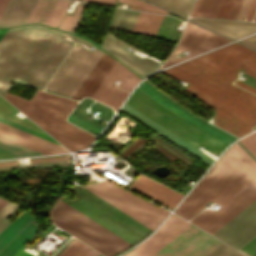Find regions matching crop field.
Masks as SVG:
<instances>
[{"label":"crop field","mask_w":256,"mask_h":256,"mask_svg":"<svg viewBox=\"0 0 256 256\" xmlns=\"http://www.w3.org/2000/svg\"><path fill=\"white\" fill-rule=\"evenodd\" d=\"M36 0H9L1 18L0 27L25 23Z\"/></svg>","instance_id":"dafd665d"},{"label":"crop field","mask_w":256,"mask_h":256,"mask_svg":"<svg viewBox=\"0 0 256 256\" xmlns=\"http://www.w3.org/2000/svg\"><path fill=\"white\" fill-rule=\"evenodd\" d=\"M125 103L166 127L194 146H204L207 150L217 156L226 146L223 142L167 110L137 88Z\"/></svg>","instance_id":"e52e79f7"},{"label":"crop field","mask_w":256,"mask_h":256,"mask_svg":"<svg viewBox=\"0 0 256 256\" xmlns=\"http://www.w3.org/2000/svg\"><path fill=\"white\" fill-rule=\"evenodd\" d=\"M116 60L104 53L89 76L78 89L73 99L79 100L84 96H90L94 93L98 85L101 83L105 75L108 73Z\"/></svg>","instance_id":"214f88e0"},{"label":"crop field","mask_w":256,"mask_h":256,"mask_svg":"<svg viewBox=\"0 0 256 256\" xmlns=\"http://www.w3.org/2000/svg\"><path fill=\"white\" fill-rule=\"evenodd\" d=\"M13 156H10L8 154H5L3 152H0V159H6V158H12Z\"/></svg>","instance_id":"1f2cbd36"},{"label":"crop field","mask_w":256,"mask_h":256,"mask_svg":"<svg viewBox=\"0 0 256 256\" xmlns=\"http://www.w3.org/2000/svg\"><path fill=\"white\" fill-rule=\"evenodd\" d=\"M36 232L33 215L22 211L0 233V256H13Z\"/></svg>","instance_id":"cbeb9de0"},{"label":"crop field","mask_w":256,"mask_h":256,"mask_svg":"<svg viewBox=\"0 0 256 256\" xmlns=\"http://www.w3.org/2000/svg\"><path fill=\"white\" fill-rule=\"evenodd\" d=\"M50 219L105 256H115L133 246L118 238L80 212L58 199L50 210Z\"/></svg>","instance_id":"dd49c442"},{"label":"crop field","mask_w":256,"mask_h":256,"mask_svg":"<svg viewBox=\"0 0 256 256\" xmlns=\"http://www.w3.org/2000/svg\"><path fill=\"white\" fill-rule=\"evenodd\" d=\"M127 45L128 44L107 33L101 47L106 49L143 78L158 68V63L147 58L139 59L138 57L124 50L123 48Z\"/></svg>","instance_id":"733c2abd"},{"label":"crop field","mask_w":256,"mask_h":256,"mask_svg":"<svg viewBox=\"0 0 256 256\" xmlns=\"http://www.w3.org/2000/svg\"><path fill=\"white\" fill-rule=\"evenodd\" d=\"M227 42L230 41L188 22L180 42L170 56L177 55L183 50H188L190 54L182 58L168 59L160 69Z\"/></svg>","instance_id":"22f410ed"},{"label":"crop field","mask_w":256,"mask_h":256,"mask_svg":"<svg viewBox=\"0 0 256 256\" xmlns=\"http://www.w3.org/2000/svg\"><path fill=\"white\" fill-rule=\"evenodd\" d=\"M221 243L191 225L153 256H205Z\"/></svg>","instance_id":"28ad6ade"},{"label":"crop field","mask_w":256,"mask_h":256,"mask_svg":"<svg viewBox=\"0 0 256 256\" xmlns=\"http://www.w3.org/2000/svg\"><path fill=\"white\" fill-rule=\"evenodd\" d=\"M18 208V206H15L10 203H6L1 209H0V232L9 224L6 220L12 215V213Z\"/></svg>","instance_id":"1d83c4d3"},{"label":"crop field","mask_w":256,"mask_h":256,"mask_svg":"<svg viewBox=\"0 0 256 256\" xmlns=\"http://www.w3.org/2000/svg\"><path fill=\"white\" fill-rule=\"evenodd\" d=\"M0 151H3L15 157L42 154L2 138H0Z\"/></svg>","instance_id":"750c4746"},{"label":"crop field","mask_w":256,"mask_h":256,"mask_svg":"<svg viewBox=\"0 0 256 256\" xmlns=\"http://www.w3.org/2000/svg\"><path fill=\"white\" fill-rule=\"evenodd\" d=\"M190 225L187 221L171 215L151 237L124 256H152Z\"/></svg>","instance_id":"5142ce71"},{"label":"crop field","mask_w":256,"mask_h":256,"mask_svg":"<svg viewBox=\"0 0 256 256\" xmlns=\"http://www.w3.org/2000/svg\"><path fill=\"white\" fill-rule=\"evenodd\" d=\"M68 189L72 191L77 198L70 201L61 196L59 199L131 244L134 245L138 243L152 231L85 188L74 186Z\"/></svg>","instance_id":"f4fd0767"},{"label":"crop field","mask_w":256,"mask_h":256,"mask_svg":"<svg viewBox=\"0 0 256 256\" xmlns=\"http://www.w3.org/2000/svg\"><path fill=\"white\" fill-rule=\"evenodd\" d=\"M240 143L256 158V132L242 138Z\"/></svg>","instance_id":"5866460e"},{"label":"crop field","mask_w":256,"mask_h":256,"mask_svg":"<svg viewBox=\"0 0 256 256\" xmlns=\"http://www.w3.org/2000/svg\"><path fill=\"white\" fill-rule=\"evenodd\" d=\"M16 112H18L17 110H15L11 105H9L6 101H4L1 97H0V117H3L5 119H8L10 121H13L15 123H18L20 125L26 126L28 128H31L33 130H36L38 132H41L43 134H45L43 131H41L39 128H37L34 124H32L28 119H20L16 116H14L13 114H15Z\"/></svg>","instance_id":"d3111659"},{"label":"crop field","mask_w":256,"mask_h":256,"mask_svg":"<svg viewBox=\"0 0 256 256\" xmlns=\"http://www.w3.org/2000/svg\"><path fill=\"white\" fill-rule=\"evenodd\" d=\"M234 0H224L217 18L227 19Z\"/></svg>","instance_id":"e1f06a70"},{"label":"crop field","mask_w":256,"mask_h":256,"mask_svg":"<svg viewBox=\"0 0 256 256\" xmlns=\"http://www.w3.org/2000/svg\"><path fill=\"white\" fill-rule=\"evenodd\" d=\"M223 0H196L190 16L216 18Z\"/></svg>","instance_id":"730fd06b"},{"label":"crop field","mask_w":256,"mask_h":256,"mask_svg":"<svg viewBox=\"0 0 256 256\" xmlns=\"http://www.w3.org/2000/svg\"><path fill=\"white\" fill-rule=\"evenodd\" d=\"M7 201L0 198V208L6 203Z\"/></svg>","instance_id":"dbb93151"},{"label":"crop field","mask_w":256,"mask_h":256,"mask_svg":"<svg viewBox=\"0 0 256 256\" xmlns=\"http://www.w3.org/2000/svg\"><path fill=\"white\" fill-rule=\"evenodd\" d=\"M84 1L113 5V3H114L115 0H84Z\"/></svg>","instance_id":"425ffa30"},{"label":"crop field","mask_w":256,"mask_h":256,"mask_svg":"<svg viewBox=\"0 0 256 256\" xmlns=\"http://www.w3.org/2000/svg\"><path fill=\"white\" fill-rule=\"evenodd\" d=\"M45 0H38L27 23H34ZM71 4L70 0H53ZM46 0L35 23L45 24L73 33L88 4L80 2L72 14L65 13L68 4Z\"/></svg>","instance_id":"3316defc"},{"label":"crop field","mask_w":256,"mask_h":256,"mask_svg":"<svg viewBox=\"0 0 256 256\" xmlns=\"http://www.w3.org/2000/svg\"><path fill=\"white\" fill-rule=\"evenodd\" d=\"M116 79L122 80L118 85L119 87L129 91H131L136 83L141 80L134 73L116 61L95 93L92 95V98L113 107L115 110L129 93L116 88L115 85L112 84Z\"/></svg>","instance_id":"d1516ede"},{"label":"crop field","mask_w":256,"mask_h":256,"mask_svg":"<svg viewBox=\"0 0 256 256\" xmlns=\"http://www.w3.org/2000/svg\"><path fill=\"white\" fill-rule=\"evenodd\" d=\"M139 13L117 8L110 27L131 32Z\"/></svg>","instance_id":"eef30255"},{"label":"crop field","mask_w":256,"mask_h":256,"mask_svg":"<svg viewBox=\"0 0 256 256\" xmlns=\"http://www.w3.org/2000/svg\"><path fill=\"white\" fill-rule=\"evenodd\" d=\"M61 34L78 40L38 25L9 29L0 40V94L5 96L12 81L42 90L73 44Z\"/></svg>","instance_id":"34b2d1b8"},{"label":"crop field","mask_w":256,"mask_h":256,"mask_svg":"<svg viewBox=\"0 0 256 256\" xmlns=\"http://www.w3.org/2000/svg\"><path fill=\"white\" fill-rule=\"evenodd\" d=\"M128 188L171 210L184 196L142 174L139 175Z\"/></svg>","instance_id":"d9b57169"},{"label":"crop field","mask_w":256,"mask_h":256,"mask_svg":"<svg viewBox=\"0 0 256 256\" xmlns=\"http://www.w3.org/2000/svg\"><path fill=\"white\" fill-rule=\"evenodd\" d=\"M207 256H243L240 253L234 251L230 247L226 246L225 244L219 245L216 249H214L211 253Z\"/></svg>","instance_id":"d32e631a"},{"label":"crop field","mask_w":256,"mask_h":256,"mask_svg":"<svg viewBox=\"0 0 256 256\" xmlns=\"http://www.w3.org/2000/svg\"><path fill=\"white\" fill-rule=\"evenodd\" d=\"M0 136L3 137V138L9 139V140H11V141H14V142H16V143H19V144H21V145H24V146H26V147H29V148H31V149L37 150V151H39V152H42V153H44V154H51L50 152H47V151L42 150V149H39V148H37V147H34V146H32V145H29V144L24 143V142H22V141H19V140H17V139L11 138V137L6 136V135H4V134H1V133H0Z\"/></svg>","instance_id":"c21b1889"},{"label":"crop field","mask_w":256,"mask_h":256,"mask_svg":"<svg viewBox=\"0 0 256 256\" xmlns=\"http://www.w3.org/2000/svg\"><path fill=\"white\" fill-rule=\"evenodd\" d=\"M7 2H8V0H0V16H1Z\"/></svg>","instance_id":"73cf0c24"},{"label":"crop field","mask_w":256,"mask_h":256,"mask_svg":"<svg viewBox=\"0 0 256 256\" xmlns=\"http://www.w3.org/2000/svg\"><path fill=\"white\" fill-rule=\"evenodd\" d=\"M75 241L76 239L59 256H61Z\"/></svg>","instance_id":"0fb4a251"},{"label":"crop field","mask_w":256,"mask_h":256,"mask_svg":"<svg viewBox=\"0 0 256 256\" xmlns=\"http://www.w3.org/2000/svg\"><path fill=\"white\" fill-rule=\"evenodd\" d=\"M256 10V0H253L245 20H251ZM256 21V16L254 18Z\"/></svg>","instance_id":"b54c1fbb"},{"label":"crop field","mask_w":256,"mask_h":256,"mask_svg":"<svg viewBox=\"0 0 256 256\" xmlns=\"http://www.w3.org/2000/svg\"><path fill=\"white\" fill-rule=\"evenodd\" d=\"M242 42H244V43H246V44H248V45H250V46H252V47H254V48H256V34L255 35H253V36H250V37H248V38H245V39H243V40H241ZM241 42V43H242ZM243 43V44H244ZM245 44V45H246Z\"/></svg>","instance_id":"5d738f31"},{"label":"crop field","mask_w":256,"mask_h":256,"mask_svg":"<svg viewBox=\"0 0 256 256\" xmlns=\"http://www.w3.org/2000/svg\"><path fill=\"white\" fill-rule=\"evenodd\" d=\"M80 242L77 240L62 256H79L88 247Z\"/></svg>","instance_id":"028f5c9d"},{"label":"crop field","mask_w":256,"mask_h":256,"mask_svg":"<svg viewBox=\"0 0 256 256\" xmlns=\"http://www.w3.org/2000/svg\"><path fill=\"white\" fill-rule=\"evenodd\" d=\"M241 2H242V0H235V3L233 5V8L231 10V13H230V16H229L228 19H235L236 18V15L238 13Z\"/></svg>","instance_id":"03da06ac"},{"label":"crop field","mask_w":256,"mask_h":256,"mask_svg":"<svg viewBox=\"0 0 256 256\" xmlns=\"http://www.w3.org/2000/svg\"><path fill=\"white\" fill-rule=\"evenodd\" d=\"M240 68L256 77V52L232 43L162 72L189 82L185 91L216 109L214 124L241 137L256 125V95L228 83ZM235 84L256 94L238 80Z\"/></svg>","instance_id":"ac0d7876"},{"label":"crop field","mask_w":256,"mask_h":256,"mask_svg":"<svg viewBox=\"0 0 256 256\" xmlns=\"http://www.w3.org/2000/svg\"><path fill=\"white\" fill-rule=\"evenodd\" d=\"M98 256H102V255L99 254Z\"/></svg>","instance_id":"1d79db26"},{"label":"crop field","mask_w":256,"mask_h":256,"mask_svg":"<svg viewBox=\"0 0 256 256\" xmlns=\"http://www.w3.org/2000/svg\"><path fill=\"white\" fill-rule=\"evenodd\" d=\"M5 98L71 151L86 148L95 138L65 120L75 100L38 90L30 101L8 93Z\"/></svg>","instance_id":"412701ff"},{"label":"crop field","mask_w":256,"mask_h":256,"mask_svg":"<svg viewBox=\"0 0 256 256\" xmlns=\"http://www.w3.org/2000/svg\"><path fill=\"white\" fill-rule=\"evenodd\" d=\"M17 160L10 161H0V171L16 170L26 167H44L52 165H69L70 159L68 154L63 155H53V156H43L30 158V162L33 165H22L18 166Z\"/></svg>","instance_id":"a9b5d70f"},{"label":"crop field","mask_w":256,"mask_h":256,"mask_svg":"<svg viewBox=\"0 0 256 256\" xmlns=\"http://www.w3.org/2000/svg\"><path fill=\"white\" fill-rule=\"evenodd\" d=\"M78 41H83L95 49L89 52L79 44L74 45L46 86V91L71 98L88 73L103 55L104 52L91 43L83 39H79Z\"/></svg>","instance_id":"d8731c3e"},{"label":"crop field","mask_w":256,"mask_h":256,"mask_svg":"<svg viewBox=\"0 0 256 256\" xmlns=\"http://www.w3.org/2000/svg\"><path fill=\"white\" fill-rule=\"evenodd\" d=\"M192 20H195L205 26H208L234 39L256 32V23L240 22V21L209 20V19H199V18H192Z\"/></svg>","instance_id":"92a150f3"},{"label":"crop field","mask_w":256,"mask_h":256,"mask_svg":"<svg viewBox=\"0 0 256 256\" xmlns=\"http://www.w3.org/2000/svg\"><path fill=\"white\" fill-rule=\"evenodd\" d=\"M121 110L125 111L129 115L133 116L137 120L141 121L145 125L149 126L150 128H152L156 132L160 133L161 135H163L164 137H166L170 141L174 142L178 146L182 147L183 149L187 150L188 152L192 153L193 155L197 156L198 158L202 159L203 161L207 162L208 164L211 165L212 162L214 161L211 158H209L207 155L202 153L198 148H196V147L192 146L191 144L187 143L183 139L179 138L175 134L171 133L167 129L163 128L162 126H160L156 122L152 121L148 117L144 116L140 112L136 111L132 107L128 106L127 104H124Z\"/></svg>","instance_id":"bc2a9ffb"},{"label":"crop field","mask_w":256,"mask_h":256,"mask_svg":"<svg viewBox=\"0 0 256 256\" xmlns=\"http://www.w3.org/2000/svg\"><path fill=\"white\" fill-rule=\"evenodd\" d=\"M73 240H69L54 256H58Z\"/></svg>","instance_id":"89e229c0"},{"label":"crop field","mask_w":256,"mask_h":256,"mask_svg":"<svg viewBox=\"0 0 256 256\" xmlns=\"http://www.w3.org/2000/svg\"><path fill=\"white\" fill-rule=\"evenodd\" d=\"M0 132L52 153L66 152L61 146L0 122Z\"/></svg>","instance_id":"00972430"},{"label":"crop field","mask_w":256,"mask_h":256,"mask_svg":"<svg viewBox=\"0 0 256 256\" xmlns=\"http://www.w3.org/2000/svg\"><path fill=\"white\" fill-rule=\"evenodd\" d=\"M98 254L99 253L88 247L80 256H97Z\"/></svg>","instance_id":"d23c7cc5"},{"label":"crop field","mask_w":256,"mask_h":256,"mask_svg":"<svg viewBox=\"0 0 256 256\" xmlns=\"http://www.w3.org/2000/svg\"><path fill=\"white\" fill-rule=\"evenodd\" d=\"M85 188L152 230L169 214L107 180Z\"/></svg>","instance_id":"5a996713"},{"label":"crop field","mask_w":256,"mask_h":256,"mask_svg":"<svg viewBox=\"0 0 256 256\" xmlns=\"http://www.w3.org/2000/svg\"><path fill=\"white\" fill-rule=\"evenodd\" d=\"M140 90H142L144 93L152 97L154 100L162 104L167 109L171 110L172 112L176 113L177 115L181 116L182 118L186 119L187 121L191 122L192 124L198 126L199 128L203 129L204 131L208 132L209 134L213 135L214 137L218 138L219 140L230 143L232 138L228 137L227 135L221 133L220 131L214 129L213 127L209 126L208 124L202 122L201 120L195 118L188 112L184 111L168 99H166L164 96L156 92L154 89H152L148 84H146L144 81L137 87Z\"/></svg>","instance_id":"4a817a6b"},{"label":"crop field","mask_w":256,"mask_h":256,"mask_svg":"<svg viewBox=\"0 0 256 256\" xmlns=\"http://www.w3.org/2000/svg\"><path fill=\"white\" fill-rule=\"evenodd\" d=\"M241 250L251 256H256V237L247 243L243 248H241Z\"/></svg>","instance_id":"b80d0937"},{"label":"crop field","mask_w":256,"mask_h":256,"mask_svg":"<svg viewBox=\"0 0 256 256\" xmlns=\"http://www.w3.org/2000/svg\"><path fill=\"white\" fill-rule=\"evenodd\" d=\"M208 201L223 206L219 212L203 211L191 223L237 250L256 236V162L237 143L204 175L175 213L190 219Z\"/></svg>","instance_id":"8a807250"},{"label":"crop field","mask_w":256,"mask_h":256,"mask_svg":"<svg viewBox=\"0 0 256 256\" xmlns=\"http://www.w3.org/2000/svg\"><path fill=\"white\" fill-rule=\"evenodd\" d=\"M252 0H243L236 19L244 20Z\"/></svg>","instance_id":"c035e120"},{"label":"crop field","mask_w":256,"mask_h":256,"mask_svg":"<svg viewBox=\"0 0 256 256\" xmlns=\"http://www.w3.org/2000/svg\"><path fill=\"white\" fill-rule=\"evenodd\" d=\"M0 121H2V122H4V123H7V124H9V125L15 126V127H17V128H20V129H22V130H25V131H27V132H30V133H32V134H35V135H37V136H40V137H42V138H45V139H47V140H50V141H52V142H55L53 139H51L50 137H48V136H46V135H43V134H41V133H38V132L33 131V130H31V129H28V128H25V127H23V126H20V125H18V124H15V123L10 122V121H8V120H5V119H3V118H0ZM55 143H56V142H55Z\"/></svg>","instance_id":"0bd39190"},{"label":"crop field","mask_w":256,"mask_h":256,"mask_svg":"<svg viewBox=\"0 0 256 256\" xmlns=\"http://www.w3.org/2000/svg\"><path fill=\"white\" fill-rule=\"evenodd\" d=\"M121 2H125L131 5L130 8L137 9V10H143V11H151V12H158V13H166L146 2L140 1V0H118ZM168 14V13H166Z\"/></svg>","instance_id":"bd1437ed"},{"label":"crop field","mask_w":256,"mask_h":256,"mask_svg":"<svg viewBox=\"0 0 256 256\" xmlns=\"http://www.w3.org/2000/svg\"><path fill=\"white\" fill-rule=\"evenodd\" d=\"M175 13L188 16L193 0H148Z\"/></svg>","instance_id":"ae1a2a85"},{"label":"crop field","mask_w":256,"mask_h":256,"mask_svg":"<svg viewBox=\"0 0 256 256\" xmlns=\"http://www.w3.org/2000/svg\"><path fill=\"white\" fill-rule=\"evenodd\" d=\"M162 17L141 12L132 32L154 37Z\"/></svg>","instance_id":"4177f3b9"},{"label":"crop field","mask_w":256,"mask_h":256,"mask_svg":"<svg viewBox=\"0 0 256 256\" xmlns=\"http://www.w3.org/2000/svg\"><path fill=\"white\" fill-rule=\"evenodd\" d=\"M68 121L73 123V124H75V125H77V126H79V127H82V128H84L86 130H89V131H91V132H93L95 134H98L99 131L102 129V127H100V126H97V125L92 124L90 122L84 121V120L79 119L77 117H74L72 115H69Z\"/></svg>","instance_id":"120bbe31"},{"label":"crop field","mask_w":256,"mask_h":256,"mask_svg":"<svg viewBox=\"0 0 256 256\" xmlns=\"http://www.w3.org/2000/svg\"><path fill=\"white\" fill-rule=\"evenodd\" d=\"M25 248V246H23L14 256H21L25 251H23L22 249ZM31 253H27L25 252L22 256H30Z\"/></svg>","instance_id":"25e5ab78"}]
</instances>
